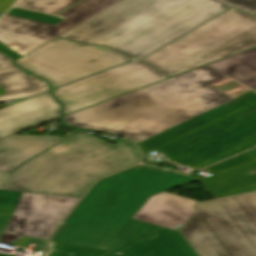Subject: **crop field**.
Segmentation results:
<instances>
[{"label":"crop field","instance_id":"8a807250","mask_svg":"<svg viewBox=\"0 0 256 256\" xmlns=\"http://www.w3.org/2000/svg\"><path fill=\"white\" fill-rule=\"evenodd\" d=\"M251 90L205 65L63 117L68 125L138 144Z\"/></svg>","mask_w":256,"mask_h":256},{"label":"crop field","instance_id":"ac0d7876","mask_svg":"<svg viewBox=\"0 0 256 256\" xmlns=\"http://www.w3.org/2000/svg\"><path fill=\"white\" fill-rule=\"evenodd\" d=\"M229 7L216 0H122L60 37L139 59Z\"/></svg>","mask_w":256,"mask_h":256},{"label":"crop field","instance_id":"34b2d1b8","mask_svg":"<svg viewBox=\"0 0 256 256\" xmlns=\"http://www.w3.org/2000/svg\"><path fill=\"white\" fill-rule=\"evenodd\" d=\"M140 159L127 140L112 145L80 131L14 172L0 173V190L81 198L95 179Z\"/></svg>","mask_w":256,"mask_h":256},{"label":"crop field","instance_id":"412701ff","mask_svg":"<svg viewBox=\"0 0 256 256\" xmlns=\"http://www.w3.org/2000/svg\"><path fill=\"white\" fill-rule=\"evenodd\" d=\"M197 170L256 145V92L251 91L138 144Z\"/></svg>","mask_w":256,"mask_h":256},{"label":"crop field","instance_id":"f4fd0767","mask_svg":"<svg viewBox=\"0 0 256 256\" xmlns=\"http://www.w3.org/2000/svg\"><path fill=\"white\" fill-rule=\"evenodd\" d=\"M193 181L187 175L136 166L98 181L63 223L116 237L150 196Z\"/></svg>","mask_w":256,"mask_h":256},{"label":"crop field","instance_id":"dd49c442","mask_svg":"<svg viewBox=\"0 0 256 256\" xmlns=\"http://www.w3.org/2000/svg\"><path fill=\"white\" fill-rule=\"evenodd\" d=\"M178 230L199 256H256V191L196 203Z\"/></svg>","mask_w":256,"mask_h":256},{"label":"crop field","instance_id":"e52e79f7","mask_svg":"<svg viewBox=\"0 0 256 256\" xmlns=\"http://www.w3.org/2000/svg\"><path fill=\"white\" fill-rule=\"evenodd\" d=\"M256 46V17L230 9L141 60L171 77Z\"/></svg>","mask_w":256,"mask_h":256},{"label":"crop field","instance_id":"d8731c3e","mask_svg":"<svg viewBox=\"0 0 256 256\" xmlns=\"http://www.w3.org/2000/svg\"><path fill=\"white\" fill-rule=\"evenodd\" d=\"M119 0H17L0 21V52L17 59Z\"/></svg>","mask_w":256,"mask_h":256},{"label":"crop field","instance_id":"5a996713","mask_svg":"<svg viewBox=\"0 0 256 256\" xmlns=\"http://www.w3.org/2000/svg\"><path fill=\"white\" fill-rule=\"evenodd\" d=\"M134 59L104 46L57 38L13 63L47 80L52 88Z\"/></svg>","mask_w":256,"mask_h":256},{"label":"crop field","instance_id":"3316defc","mask_svg":"<svg viewBox=\"0 0 256 256\" xmlns=\"http://www.w3.org/2000/svg\"><path fill=\"white\" fill-rule=\"evenodd\" d=\"M79 199L0 191L3 232L48 240Z\"/></svg>","mask_w":256,"mask_h":256},{"label":"crop field","instance_id":"28ad6ade","mask_svg":"<svg viewBox=\"0 0 256 256\" xmlns=\"http://www.w3.org/2000/svg\"><path fill=\"white\" fill-rule=\"evenodd\" d=\"M166 77L141 61L112 68L76 83L53 90L64 107V115Z\"/></svg>","mask_w":256,"mask_h":256},{"label":"crop field","instance_id":"d1516ede","mask_svg":"<svg viewBox=\"0 0 256 256\" xmlns=\"http://www.w3.org/2000/svg\"><path fill=\"white\" fill-rule=\"evenodd\" d=\"M117 237L131 242L111 256H196L176 231L133 219Z\"/></svg>","mask_w":256,"mask_h":256},{"label":"crop field","instance_id":"22f410ed","mask_svg":"<svg viewBox=\"0 0 256 256\" xmlns=\"http://www.w3.org/2000/svg\"><path fill=\"white\" fill-rule=\"evenodd\" d=\"M130 242L62 224L43 256H110Z\"/></svg>","mask_w":256,"mask_h":256},{"label":"crop field","instance_id":"cbeb9de0","mask_svg":"<svg viewBox=\"0 0 256 256\" xmlns=\"http://www.w3.org/2000/svg\"><path fill=\"white\" fill-rule=\"evenodd\" d=\"M61 104L51 93L0 110V138L60 117Z\"/></svg>","mask_w":256,"mask_h":256},{"label":"crop field","instance_id":"5142ce71","mask_svg":"<svg viewBox=\"0 0 256 256\" xmlns=\"http://www.w3.org/2000/svg\"><path fill=\"white\" fill-rule=\"evenodd\" d=\"M195 203L196 201L163 192L150 197L133 219L175 230L176 224L184 225L197 212L193 207Z\"/></svg>","mask_w":256,"mask_h":256},{"label":"crop field","instance_id":"d9b57169","mask_svg":"<svg viewBox=\"0 0 256 256\" xmlns=\"http://www.w3.org/2000/svg\"><path fill=\"white\" fill-rule=\"evenodd\" d=\"M64 138L13 135L0 140V172H11L24 161Z\"/></svg>","mask_w":256,"mask_h":256},{"label":"crop field","instance_id":"733c2abd","mask_svg":"<svg viewBox=\"0 0 256 256\" xmlns=\"http://www.w3.org/2000/svg\"><path fill=\"white\" fill-rule=\"evenodd\" d=\"M200 182L213 197L254 190L256 189V161L200 180Z\"/></svg>","mask_w":256,"mask_h":256},{"label":"crop field","instance_id":"4a817a6b","mask_svg":"<svg viewBox=\"0 0 256 256\" xmlns=\"http://www.w3.org/2000/svg\"><path fill=\"white\" fill-rule=\"evenodd\" d=\"M256 90V47L209 64Z\"/></svg>","mask_w":256,"mask_h":256},{"label":"crop field","instance_id":"bc2a9ffb","mask_svg":"<svg viewBox=\"0 0 256 256\" xmlns=\"http://www.w3.org/2000/svg\"><path fill=\"white\" fill-rule=\"evenodd\" d=\"M0 68L7 74L0 75V88L6 92H17L29 89L39 88L28 77H26L20 70L10 63V60L0 55Z\"/></svg>","mask_w":256,"mask_h":256},{"label":"crop field","instance_id":"214f88e0","mask_svg":"<svg viewBox=\"0 0 256 256\" xmlns=\"http://www.w3.org/2000/svg\"><path fill=\"white\" fill-rule=\"evenodd\" d=\"M256 160L253 156L247 154L246 152L238 155L236 157L230 158L228 160H225L223 162H220L218 164L212 165L210 167L205 168V170H207L209 173H211L212 175L222 172L224 170L230 169L232 167L250 162Z\"/></svg>","mask_w":256,"mask_h":256},{"label":"crop field","instance_id":"92a150f3","mask_svg":"<svg viewBox=\"0 0 256 256\" xmlns=\"http://www.w3.org/2000/svg\"><path fill=\"white\" fill-rule=\"evenodd\" d=\"M32 81H34L40 89L36 90H30V91H23V92H17V93H11V94H6V95H0V101L4 100H10V99H16V98H21V97H27L31 95H35L41 92H45L49 90L46 82L32 76V75H27Z\"/></svg>","mask_w":256,"mask_h":256},{"label":"crop field","instance_id":"dafd665d","mask_svg":"<svg viewBox=\"0 0 256 256\" xmlns=\"http://www.w3.org/2000/svg\"><path fill=\"white\" fill-rule=\"evenodd\" d=\"M235 7L254 14V13H256V0L249 1V2L243 3L241 5L235 6ZM254 15H256V14H254Z\"/></svg>","mask_w":256,"mask_h":256},{"label":"crop field","instance_id":"00972430","mask_svg":"<svg viewBox=\"0 0 256 256\" xmlns=\"http://www.w3.org/2000/svg\"><path fill=\"white\" fill-rule=\"evenodd\" d=\"M16 0H0V12H6Z\"/></svg>","mask_w":256,"mask_h":256},{"label":"crop field","instance_id":"a9b5d70f","mask_svg":"<svg viewBox=\"0 0 256 256\" xmlns=\"http://www.w3.org/2000/svg\"><path fill=\"white\" fill-rule=\"evenodd\" d=\"M218 1L229 4L231 6H235V5H238L240 3H243V2H246V1H249V0H218Z\"/></svg>","mask_w":256,"mask_h":256},{"label":"crop field","instance_id":"4177f3b9","mask_svg":"<svg viewBox=\"0 0 256 256\" xmlns=\"http://www.w3.org/2000/svg\"><path fill=\"white\" fill-rule=\"evenodd\" d=\"M249 154L253 155L256 158V151Z\"/></svg>","mask_w":256,"mask_h":256},{"label":"crop field","instance_id":"730fd06b","mask_svg":"<svg viewBox=\"0 0 256 256\" xmlns=\"http://www.w3.org/2000/svg\"><path fill=\"white\" fill-rule=\"evenodd\" d=\"M255 150H256V148H255V149H253V150L247 151V153L252 152V151H255Z\"/></svg>","mask_w":256,"mask_h":256},{"label":"crop field","instance_id":"eef30255","mask_svg":"<svg viewBox=\"0 0 256 256\" xmlns=\"http://www.w3.org/2000/svg\"><path fill=\"white\" fill-rule=\"evenodd\" d=\"M3 13H0V17L2 16Z\"/></svg>","mask_w":256,"mask_h":256}]
</instances>
